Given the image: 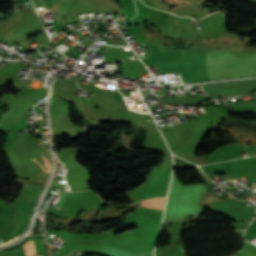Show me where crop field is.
Listing matches in <instances>:
<instances>
[{
    "instance_id": "1",
    "label": "crop field",
    "mask_w": 256,
    "mask_h": 256,
    "mask_svg": "<svg viewBox=\"0 0 256 256\" xmlns=\"http://www.w3.org/2000/svg\"><path fill=\"white\" fill-rule=\"evenodd\" d=\"M24 245L26 247V251H27L28 256H32V255L36 254L33 241H28ZM24 245H23V247H24Z\"/></svg>"
},
{
    "instance_id": "2",
    "label": "crop field",
    "mask_w": 256,
    "mask_h": 256,
    "mask_svg": "<svg viewBox=\"0 0 256 256\" xmlns=\"http://www.w3.org/2000/svg\"><path fill=\"white\" fill-rule=\"evenodd\" d=\"M42 256V255H41Z\"/></svg>"
}]
</instances>
